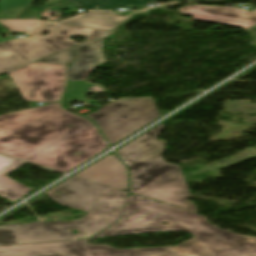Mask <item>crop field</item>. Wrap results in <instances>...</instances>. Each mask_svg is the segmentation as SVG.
I'll list each match as a JSON object with an SVG mask.
<instances>
[{
	"label": "crop field",
	"mask_w": 256,
	"mask_h": 256,
	"mask_svg": "<svg viewBox=\"0 0 256 256\" xmlns=\"http://www.w3.org/2000/svg\"><path fill=\"white\" fill-rule=\"evenodd\" d=\"M167 231H185L194 237L176 247L160 248L116 249L90 246L87 240L5 246L0 247V256H256V237L218 229L205 216L136 195L129 196L116 224L90 239Z\"/></svg>",
	"instance_id": "crop-field-1"
},
{
	"label": "crop field",
	"mask_w": 256,
	"mask_h": 256,
	"mask_svg": "<svg viewBox=\"0 0 256 256\" xmlns=\"http://www.w3.org/2000/svg\"><path fill=\"white\" fill-rule=\"evenodd\" d=\"M106 147L92 122L61 102L0 116V153L64 173Z\"/></svg>",
	"instance_id": "crop-field-2"
},
{
	"label": "crop field",
	"mask_w": 256,
	"mask_h": 256,
	"mask_svg": "<svg viewBox=\"0 0 256 256\" xmlns=\"http://www.w3.org/2000/svg\"><path fill=\"white\" fill-rule=\"evenodd\" d=\"M45 194L59 205L89 213L77 221L3 226L0 245L88 238L115 222L127 196L126 192L74 176ZM70 229L80 234L74 235Z\"/></svg>",
	"instance_id": "crop-field-3"
},
{
	"label": "crop field",
	"mask_w": 256,
	"mask_h": 256,
	"mask_svg": "<svg viewBox=\"0 0 256 256\" xmlns=\"http://www.w3.org/2000/svg\"><path fill=\"white\" fill-rule=\"evenodd\" d=\"M163 123L115 152L129 167L130 193L197 213L179 165L166 163L165 141H158Z\"/></svg>",
	"instance_id": "crop-field-4"
},
{
	"label": "crop field",
	"mask_w": 256,
	"mask_h": 256,
	"mask_svg": "<svg viewBox=\"0 0 256 256\" xmlns=\"http://www.w3.org/2000/svg\"><path fill=\"white\" fill-rule=\"evenodd\" d=\"M42 31L50 32L48 36H41ZM106 32L60 22H47L29 38L0 43V74L78 44L70 39L71 36H84L88 40Z\"/></svg>",
	"instance_id": "crop-field-5"
},
{
	"label": "crop field",
	"mask_w": 256,
	"mask_h": 256,
	"mask_svg": "<svg viewBox=\"0 0 256 256\" xmlns=\"http://www.w3.org/2000/svg\"><path fill=\"white\" fill-rule=\"evenodd\" d=\"M111 145L160 117L153 99L120 100L86 116Z\"/></svg>",
	"instance_id": "crop-field-6"
},
{
	"label": "crop field",
	"mask_w": 256,
	"mask_h": 256,
	"mask_svg": "<svg viewBox=\"0 0 256 256\" xmlns=\"http://www.w3.org/2000/svg\"><path fill=\"white\" fill-rule=\"evenodd\" d=\"M68 66L31 63L5 73L24 100L50 103L62 98Z\"/></svg>",
	"instance_id": "crop-field-7"
},
{
	"label": "crop field",
	"mask_w": 256,
	"mask_h": 256,
	"mask_svg": "<svg viewBox=\"0 0 256 256\" xmlns=\"http://www.w3.org/2000/svg\"><path fill=\"white\" fill-rule=\"evenodd\" d=\"M181 14L192 16L194 20L246 28L256 24V10L249 12L236 7L184 6Z\"/></svg>",
	"instance_id": "crop-field-8"
},
{
	"label": "crop field",
	"mask_w": 256,
	"mask_h": 256,
	"mask_svg": "<svg viewBox=\"0 0 256 256\" xmlns=\"http://www.w3.org/2000/svg\"><path fill=\"white\" fill-rule=\"evenodd\" d=\"M74 176L127 192V170L112 153L93 163Z\"/></svg>",
	"instance_id": "crop-field-9"
},
{
	"label": "crop field",
	"mask_w": 256,
	"mask_h": 256,
	"mask_svg": "<svg viewBox=\"0 0 256 256\" xmlns=\"http://www.w3.org/2000/svg\"><path fill=\"white\" fill-rule=\"evenodd\" d=\"M114 33L113 31L95 37L76 45L77 58L68 69V80H83L96 66L103 64L102 38Z\"/></svg>",
	"instance_id": "crop-field-10"
},
{
	"label": "crop field",
	"mask_w": 256,
	"mask_h": 256,
	"mask_svg": "<svg viewBox=\"0 0 256 256\" xmlns=\"http://www.w3.org/2000/svg\"><path fill=\"white\" fill-rule=\"evenodd\" d=\"M24 164L0 155V196L15 202L32 190L5 176Z\"/></svg>",
	"instance_id": "crop-field-11"
},
{
	"label": "crop field",
	"mask_w": 256,
	"mask_h": 256,
	"mask_svg": "<svg viewBox=\"0 0 256 256\" xmlns=\"http://www.w3.org/2000/svg\"><path fill=\"white\" fill-rule=\"evenodd\" d=\"M128 18V16L117 15L115 12H87L84 15L66 19L60 22L110 31L114 30L115 27L120 25Z\"/></svg>",
	"instance_id": "crop-field-12"
},
{
	"label": "crop field",
	"mask_w": 256,
	"mask_h": 256,
	"mask_svg": "<svg viewBox=\"0 0 256 256\" xmlns=\"http://www.w3.org/2000/svg\"><path fill=\"white\" fill-rule=\"evenodd\" d=\"M83 10H114L118 7H138L149 4L155 0H69Z\"/></svg>",
	"instance_id": "crop-field-13"
},
{
	"label": "crop field",
	"mask_w": 256,
	"mask_h": 256,
	"mask_svg": "<svg viewBox=\"0 0 256 256\" xmlns=\"http://www.w3.org/2000/svg\"><path fill=\"white\" fill-rule=\"evenodd\" d=\"M33 0H0V19H16ZM61 0H51L57 3Z\"/></svg>",
	"instance_id": "crop-field-14"
},
{
	"label": "crop field",
	"mask_w": 256,
	"mask_h": 256,
	"mask_svg": "<svg viewBox=\"0 0 256 256\" xmlns=\"http://www.w3.org/2000/svg\"><path fill=\"white\" fill-rule=\"evenodd\" d=\"M44 20H0L10 32H26L31 33L37 30Z\"/></svg>",
	"instance_id": "crop-field-15"
},
{
	"label": "crop field",
	"mask_w": 256,
	"mask_h": 256,
	"mask_svg": "<svg viewBox=\"0 0 256 256\" xmlns=\"http://www.w3.org/2000/svg\"><path fill=\"white\" fill-rule=\"evenodd\" d=\"M74 49H73V47H71V48L64 50L62 52H59L57 54L54 53L55 55H52V56L49 55L50 57L44 58V59L36 61V62L70 65L75 56Z\"/></svg>",
	"instance_id": "crop-field-16"
},
{
	"label": "crop field",
	"mask_w": 256,
	"mask_h": 256,
	"mask_svg": "<svg viewBox=\"0 0 256 256\" xmlns=\"http://www.w3.org/2000/svg\"><path fill=\"white\" fill-rule=\"evenodd\" d=\"M0 34L6 35L7 31L0 25Z\"/></svg>",
	"instance_id": "crop-field-17"
}]
</instances>
